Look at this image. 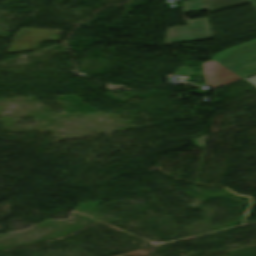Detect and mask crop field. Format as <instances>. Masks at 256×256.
<instances>
[{
  "instance_id": "1",
  "label": "crop field",
  "mask_w": 256,
  "mask_h": 256,
  "mask_svg": "<svg viewBox=\"0 0 256 256\" xmlns=\"http://www.w3.org/2000/svg\"><path fill=\"white\" fill-rule=\"evenodd\" d=\"M216 55L203 64L206 83L214 88L256 74V39Z\"/></svg>"
},
{
  "instance_id": "3",
  "label": "crop field",
  "mask_w": 256,
  "mask_h": 256,
  "mask_svg": "<svg viewBox=\"0 0 256 256\" xmlns=\"http://www.w3.org/2000/svg\"><path fill=\"white\" fill-rule=\"evenodd\" d=\"M190 3V5H187ZM249 3L248 0H190L182 2L183 13L202 11L208 12Z\"/></svg>"
},
{
  "instance_id": "4",
  "label": "crop field",
  "mask_w": 256,
  "mask_h": 256,
  "mask_svg": "<svg viewBox=\"0 0 256 256\" xmlns=\"http://www.w3.org/2000/svg\"><path fill=\"white\" fill-rule=\"evenodd\" d=\"M61 30L23 28L13 39L57 42ZM59 32V34H56Z\"/></svg>"
},
{
  "instance_id": "5",
  "label": "crop field",
  "mask_w": 256,
  "mask_h": 256,
  "mask_svg": "<svg viewBox=\"0 0 256 256\" xmlns=\"http://www.w3.org/2000/svg\"><path fill=\"white\" fill-rule=\"evenodd\" d=\"M43 42L12 40L8 53L24 52L40 49Z\"/></svg>"
},
{
  "instance_id": "6",
  "label": "crop field",
  "mask_w": 256,
  "mask_h": 256,
  "mask_svg": "<svg viewBox=\"0 0 256 256\" xmlns=\"http://www.w3.org/2000/svg\"><path fill=\"white\" fill-rule=\"evenodd\" d=\"M248 82H250L251 84L255 85L256 86V76L255 77H252V78H249V79H246Z\"/></svg>"
},
{
  "instance_id": "7",
  "label": "crop field",
  "mask_w": 256,
  "mask_h": 256,
  "mask_svg": "<svg viewBox=\"0 0 256 256\" xmlns=\"http://www.w3.org/2000/svg\"><path fill=\"white\" fill-rule=\"evenodd\" d=\"M252 3H253V5L256 7V0H250Z\"/></svg>"
},
{
  "instance_id": "2",
  "label": "crop field",
  "mask_w": 256,
  "mask_h": 256,
  "mask_svg": "<svg viewBox=\"0 0 256 256\" xmlns=\"http://www.w3.org/2000/svg\"><path fill=\"white\" fill-rule=\"evenodd\" d=\"M188 22L189 26L167 29L164 44L214 39L208 18ZM192 29L195 31H191Z\"/></svg>"
}]
</instances>
